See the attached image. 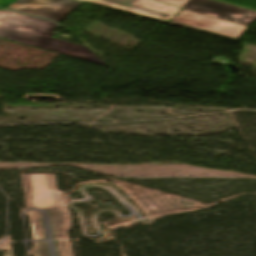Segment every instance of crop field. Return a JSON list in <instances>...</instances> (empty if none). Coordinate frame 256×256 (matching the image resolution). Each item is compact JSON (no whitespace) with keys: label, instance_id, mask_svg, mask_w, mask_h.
Returning <instances> with one entry per match:
<instances>
[{"label":"crop field","instance_id":"obj_7","mask_svg":"<svg viewBox=\"0 0 256 256\" xmlns=\"http://www.w3.org/2000/svg\"><path fill=\"white\" fill-rule=\"evenodd\" d=\"M184 9V8H183ZM188 10V9H187ZM192 11V10H191ZM196 12V11H195ZM200 13V12H199Z\"/></svg>","mask_w":256,"mask_h":256},{"label":"crop field","instance_id":"obj_5","mask_svg":"<svg viewBox=\"0 0 256 256\" xmlns=\"http://www.w3.org/2000/svg\"><path fill=\"white\" fill-rule=\"evenodd\" d=\"M185 8L203 12L202 14L247 25L256 20V12L222 4L211 0H189Z\"/></svg>","mask_w":256,"mask_h":256},{"label":"crop field","instance_id":"obj_2","mask_svg":"<svg viewBox=\"0 0 256 256\" xmlns=\"http://www.w3.org/2000/svg\"><path fill=\"white\" fill-rule=\"evenodd\" d=\"M170 24L190 28L193 30L213 34L216 36L232 39H238L249 28L247 26L224 21L210 16L181 9L173 18Z\"/></svg>","mask_w":256,"mask_h":256},{"label":"crop field","instance_id":"obj_6","mask_svg":"<svg viewBox=\"0 0 256 256\" xmlns=\"http://www.w3.org/2000/svg\"><path fill=\"white\" fill-rule=\"evenodd\" d=\"M156 1L183 7L187 3L188 0H156Z\"/></svg>","mask_w":256,"mask_h":256},{"label":"crop field","instance_id":"obj_4","mask_svg":"<svg viewBox=\"0 0 256 256\" xmlns=\"http://www.w3.org/2000/svg\"><path fill=\"white\" fill-rule=\"evenodd\" d=\"M129 11V14L169 23L180 10L151 0H79Z\"/></svg>","mask_w":256,"mask_h":256},{"label":"crop field","instance_id":"obj_3","mask_svg":"<svg viewBox=\"0 0 256 256\" xmlns=\"http://www.w3.org/2000/svg\"><path fill=\"white\" fill-rule=\"evenodd\" d=\"M80 3L75 0H18L7 9L60 23Z\"/></svg>","mask_w":256,"mask_h":256},{"label":"crop field","instance_id":"obj_1","mask_svg":"<svg viewBox=\"0 0 256 256\" xmlns=\"http://www.w3.org/2000/svg\"><path fill=\"white\" fill-rule=\"evenodd\" d=\"M57 24L4 10L0 12V37L108 66L88 47L51 38Z\"/></svg>","mask_w":256,"mask_h":256}]
</instances>
